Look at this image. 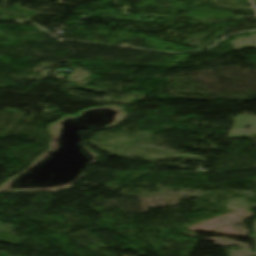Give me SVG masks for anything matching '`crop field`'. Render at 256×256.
Here are the masks:
<instances>
[{"label":"crop field","mask_w":256,"mask_h":256,"mask_svg":"<svg viewBox=\"0 0 256 256\" xmlns=\"http://www.w3.org/2000/svg\"><path fill=\"white\" fill-rule=\"evenodd\" d=\"M200 239H204V238H200ZM207 240L213 241L216 243V245L223 246V247H226L232 244H237L244 249L241 251H229V253L231 254L230 256H253L254 254V252L251 251L250 246L237 243L228 238H208Z\"/></svg>","instance_id":"8a807250"},{"label":"crop field","mask_w":256,"mask_h":256,"mask_svg":"<svg viewBox=\"0 0 256 256\" xmlns=\"http://www.w3.org/2000/svg\"><path fill=\"white\" fill-rule=\"evenodd\" d=\"M255 255H256V253H255Z\"/></svg>","instance_id":"ac0d7876"}]
</instances>
